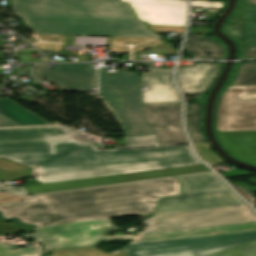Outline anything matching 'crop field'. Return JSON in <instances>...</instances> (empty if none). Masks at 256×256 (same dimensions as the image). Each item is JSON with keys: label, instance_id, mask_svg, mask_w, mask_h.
Wrapping results in <instances>:
<instances>
[{"label": "crop field", "instance_id": "crop-field-1", "mask_svg": "<svg viewBox=\"0 0 256 256\" xmlns=\"http://www.w3.org/2000/svg\"><path fill=\"white\" fill-rule=\"evenodd\" d=\"M198 164L189 145L97 151L67 127L0 130V169L35 168L41 183Z\"/></svg>", "mask_w": 256, "mask_h": 256}, {"label": "crop field", "instance_id": "crop-field-2", "mask_svg": "<svg viewBox=\"0 0 256 256\" xmlns=\"http://www.w3.org/2000/svg\"><path fill=\"white\" fill-rule=\"evenodd\" d=\"M181 195L176 178L40 195L0 207L5 220L37 228L104 218L149 214L161 197Z\"/></svg>", "mask_w": 256, "mask_h": 256}, {"label": "crop field", "instance_id": "crop-field-3", "mask_svg": "<svg viewBox=\"0 0 256 256\" xmlns=\"http://www.w3.org/2000/svg\"><path fill=\"white\" fill-rule=\"evenodd\" d=\"M34 33L162 38L118 0H12Z\"/></svg>", "mask_w": 256, "mask_h": 256}, {"label": "crop field", "instance_id": "crop-field-4", "mask_svg": "<svg viewBox=\"0 0 256 256\" xmlns=\"http://www.w3.org/2000/svg\"><path fill=\"white\" fill-rule=\"evenodd\" d=\"M256 239V231L130 244L106 253L97 248L53 251L49 256H208Z\"/></svg>", "mask_w": 256, "mask_h": 256}, {"label": "crop field", "instance_id": "crop-field-5", "mask_svg": "<svg viewBox=\"0 0 256 256\" xmlns=\"http://www.w3.org/2000/svg\"><path fill=\"white\" fill-rule=\"evenodd\" d=\"M100 93L115 114L125 136L155 134L147 125L141 97V85L135 72L106 73L99 70Z\"/></svg>", "mask_w": 256, "mask_h": 256}, {"label": "crop field", "instance_id": "crop-field-6", "mask_svg": "<svg viewBox=\"0 0 256 256\" xmlns=\"http://www.w3.org/2000/svg\"><path fill=\"white\" fill-rule=\"evenodd\" d=\"M177 179L182 196L161 198L154 213L246 204L214 172Z\"/></svg>", "mask_w": 256, "mask_h": 256}, {"label": "crop field", "instance_id": "crop-field-7", "mask_svg": "<svg viewBox=\"0 0 256 256\" xmlns=\"http://www.w3.org/2000/svg\"><path fill=\"white\" fill-rule=\"evenodd\" d=\"M117 228L110 219H104L39 228L23 236L42 243L45 247L43 254H46L52 250L92 247L106 239L108 230Z\"/></svg>", "mask_w": 256, "mask_h": 256}, {"label": "crop field", "instance_id": "crop-field-8", "mask_svg": "<svg viewBox=\"0 0 256 256\" xmlns=\"http://www.w3.org/2000/svg\"><path fill=\"white\" fill-rule=\"evenodd\" d=\"M256 220L247 205L153 214L146 231L168 230Z\"/></svg>", "mask_w": 256, "mask_h": 256}, {"label": "crop field", "instance_id": "crop-field-9", "mask_svg": "<svg viewBox=\"0 0 256 256\" xmlns=\"http://www.w3.org/2000/svg\"><path fill=\"white\" fill-rule=\"evenodd\" d=\"M256 130V85L228 86L222 94L216 131Z\"/></svg>", "mask_w": 256, "mask_h": 256}, {"label": "crop field", "instance_id": "crop-field-10", "mask_svg": "<svg viewBox=\"0 0 256 256\" xmlns=\"http://www.w3.org/2000/svg\"><path fill=\"white\" fill-rule=\"evenodd\" d=\"M206 171H211V170L205 167L204 165H198V166H188V167L169 168V169H161V170L120 174V175L84 179V180L46 183V184L27 186L25 188L28 194L31 195V194L64 191V190H71V189H78V188H86V187L135 181V180H143V179L197 173V172H206Z\"/></svg>", "mask_w": 256, "mask_h": 256}, {"label": "crop field", "instance_id": "crop-field-11", "mask_svg": "<svg viewBox=\"0 0 256 256\" xmlns=\"http://www.w3.org/2000/svg\"><path fill=\"white\" fill-rule=\"evenodd\" d=\"M34 78L41 77L58 83L64 91H84L97 87L96 70L91 64H55V69H48L47 64L33 67Z\"/></svg>", "mask_w": 256, "mask_h": 256}, {"label": "crop field", "instance_id": "crop-field-12", "mask_svg": "<svg viewBox=\"0 0 256 256\" xmlns=\"http://www.w3.org/2000/svg\"><path fill=\"white\" fill-rule=\"evenodd\" d=\"M144 108L160 145L188 143L181 128V104H144Z\"/></svg>", "mask_w": 256, "mask_h": 256}, {"label": "crop field", "instance_id": "crop-field-13", "mask_svg": "<svg viewBox=\"0 0 256 256\" xmlns=\"http://www.w3.org/2000/svg\"><path fill=\"white\" fill-rule=\"evenodd\" d=\"M129 2L142 21L149 24L185 26L187 0H121Z\"/></svg>", "mask_w": 256, "mask_h": 256}, {"label": "crop field", "instance_id": "crop-field-14", "mask_svg": "<svg viewBox=\"0 0 256 256\" xmlns=\"http://www.w3.org/2000/svg\"><path fill=\"white\" fill-rule=\"evenodd\" d=\"M249 230H256V221L239 223V224H231V225H223V226H215V227H207V228H199V229H189V230H179V231H169V232L138 233L136 239L132 243L160 241V240L241 232V231H249Z\"/></svg>", "mask_w": 256, "mask_h": 256}, {"label": "crop field", "instance_id": "crop-field-15", "mask_svg": "<svg viewBox=\"0 0 256 256\" xmlns=\"http://www.w3.org/2000/svg\"><path fill=\"white\" fill-rule=\"evenodd\" d=\"M143 86L149 91H142L143 103H182L180 94L172 86V73L144 74Z\"/></svg>", "mask_w": 256, "mask_h": 256}, {"label": "crop field", "instance_id": "crop-field-16", "mask_svg": "<svg viewBox=\"0 0 256 256\" xmlns=\"http://www.w3.org/2000/svg\"><path fill=\"white\" fill-rule=\"evenodd\" d=\"M224 32L244 47L256 48V6L242 5L238 15L227 23Z\"/></svg>", "mask_w": 256, "mask_h": 256}, {"label": "crop field", "instance_id": "crop-field-17", "mask_svg": "<svg viewBox=\"0 0 256 256\" xmlns=\"http://www.w3.org/2000/svg\"><path fill=\"white\" fill-rule=\"evenodd\" d=\"M216 135L233 157L256 164V131L216 132Z\"/></svg>", "mask_w": 256, "mask_h": 256}, {"label": "crop field", "instance_id": "crop-field-18", "mask_svg": "<svg viewBox=\"0 0 256 256\" xmlns=\"http://www.w3.org/2000/svg\"><path fill=\"white\" fill-rule=\"evenodd\" d=\"M0 113L22 126L51 125L7 97L0 99Z\"/></svg>", "mask_w": 256, "mask_h": 256}, {"label": "crop field", "instance_id": "crop-field-19", "mask_svg": "<svg viewBox=\"0 0 256 256\" xmlns=\"http://www.w3.org/2000/svg\"><path fill=\"white\" fill-rule=\"evenodd\" d=\"M185 49L194 58L220 59L224 57L225 49L210 38H188Z\"/></svg>", "mask_w": 256, "mask_h": 256}, {"label": "crop field", "instance_id": "crop-field-20", "mask_svg": "<svg viewBox=\"0 0 256 256\" xmlns=\"http://www.w3.org/2000/svg\"><path fill=\"white\" fill-rule=\"evenodd\" d=\"M202 103L187 104L186 127L194 143L205 142L201 135Z\"/></svg>", "mask_w": 256, "mask_h": 256}, {"label": "crop field", "instance_id": "crop-field-21", "mask_svg": "<svg viewBox=\"0 0 256 256\" xmlns=\"http://www.w3.org/2000/svg\"><path fill=\"white\" fill-rule=\"evenodd\" d=\"M216 78L177 77V84L184 93L205 94Z\"/></svg>", "mask_w": 256, "mask_h": 256}, {"label": "crop field", "instance_id": "crop-field-22", "mask_svg": "<svg viewBox=\"0 0 256 256\" xmlns=\"http://www.w3.org/2000/svg\"><path fill=\"white\" fill-rule=\"evenodd\" d=\"M218 63H194V67H181L177 76L217 77Z\"/></svg>", "mask_w": 256, "mask_h": 256}, {"label": "crop field", "instance_id": "crop-field-23", "mask_svg": "<svg viewBox=\"0 0 256 256\" xmlns=\"http://www.w3.org/2000/svg\"><path fill=\"white\" fill-rule=\"evenodd\" d=\"M256 84V62H248L240 65L230 85Z\"/></svg>", "mask_w": 256, "mask_h": 256}, {"label": "crop field", "instance_id": "crop-field-24", "mask_svg": "<svg viewBox=\"0 0 256 256\" xmlns=\"http://www.w3.org/2000/svg\"><path fill=\"white\" fill-rule=\"evenodd\" d=\"M211 256H256V240L230 248Z\"/></svg>", "mask_w": 256, "mask_h": 256}, {"label": "crop field", "instance_id": "crop-field-25", "mask_svg": "<svg viewBox=\"0 0 256 256\" xmlns=\"http://www.w3.org/2000/svg\"><path fill=\"white\" fill-rule=\"evenodd\" d=\"M41 250L38 243L34 247L11 250L9 245L0 242V256H40Z\"/></svg>", "mask_w": 256, "mask_h": 256}, {"label": "crop field", "instance_id": "crop-field-26", "mask_svg": "<svg viewBox=\"0 0 256 256\" xmlns=\"http://www.w3.org/2000/svg\"><path fill=\"white\" fill-rule=\"evenodd\" d=\"M125 140L127 146H120L119 149L159 145L155 135L126 137Z\"/></svg>", "mask_w": 256, "mask_h": 256}, {"label": "crop field", "instance_id": "crop-field-27", "mask_svg": "<svg viewBox=\"0 0 256 256\" xmlns=\"http://www.w3.org/2000/svg\"><path fill=\"white\" fill-rule=\"evenodd\" d=\"M198 154L208 164H222L224 163L219 159L208 147L207 144L194 145Z\"/></svg>", "mask_w": 256, "mask_h": 256}, {"label": "crop field", "instance_id": "crop-field-28", "mask_svg": "<svg viewBox=\"0 0 256 256\" xmlns=\"http://www.w3.org/2000/svg\"><path fill=\"white\" fill-rule=\"evenodd\" d=\"M33 170L34 169L9 171V172L0 171V181L23 178V177H31Z\"/></svg>", "mask_w": 256, "mask_h": 256}, {"label": "crop field", "instance_id": "crop-field-29", "mask_svg": "<svg viewBox=\"0 0 256 256\" xmlns=\"http://www.w3.org/2000/svg\"><path fill=\"white\" fill-rule=\"evenodd\" d=\"M0 192L28 196L24 187H17V186H12V185L3 184V183H0Z\"/></svg>", "mask_w": 256, "mask_h": 256}, {"label": "crop field", "instance_id": "crop-field-30", "mask_svg": "<svg viewBox=\"0 0 256 256\" xmlns=\"http://www.w3.org/2000/svg\"><path fill=\"white\" fill-rule=\"evenodd\" d=\"M149 28H151L156 32H161V33H167V32L183 33L185 27L149 25Z\"/></svg>", "mask_w": 256, "mask_h": 256}, {"label": "crop field", "instance_id": "crop-field-31", "mask_svg": "<svg viewBox=\"0 0 256 256\" xmlns=\"http://www.w3.org/2000/svg\"><path fill=\"white\" fill-rule=\"evenodd\" d=\"M29 229L31 228H28L25 230H29ZM20 231H24V230H19L13 223L5 224L0 221V236L10 234V233L20 232Z\"/></svg>", "mask_w": 256, "mask_h": 256}, {"label": "crop field", "instance_id": "crop-field-32", "mask_svg": "<svg viewBox=\"0 0 256 256\" xmlns=\"http://www.w3.org/2000/svg\"><path fill=\"white\" fill-rule=\"evenodd\" d=\"M192 7H209V8H222V2L215 1H191Z\"/></svg>", "mask_w": 256, "mask_h": 256}, {"label": "crop field", "instance_id": "crop-field-33", "mask_svg": "<svg viewBox=\"0 0 256 256\" xmlns=\"http://www.w3.org/2000/svg\"><path fill=\"white\" fill-rule=\"evenodd\" d=\"M139 64H145L149 67V72H172L173 68H154V62H139Z\"/></svg>", "mask_w": 256, "mask_h": 256}, {"label": "crop field", "instance_id": "crop-field-34", "mask_svg": "<svg viewBox=\"0 0 256 256\" xmlns=\"http://www.w3.org/2000/svg\"><path fill=\"white\" fill-rule=\"evenodd\" d=\"M23 198L25 197H19V196L0 193V204L23 199Z\"/></svg>", "mask_w": 256, "mask_h": 256}, {"label": "crop field", "instance_id": "crop-field-35", "mask_svg": "<svg viewBox=\"0 0 256 256\" xmlns=\"http://www.w3.org/2000/svg\"><path fill=\"white\" fill-rule=\"evenodd\" d=\"M11 126H20L16 124L15 122L9 120L5 116L0 114V127H11Z\"/></svg>", "mask_w": 256, "mask_h": 256}, {"label": "crop field", "instance_id": "crop-field-36", "mask_svg": "<svg viewBox=\"0 0 256 256\" xmlns=\"http://www.w3.org/2000/svg\"><path fill=\"white\" fill-rule=\"evenodd\" d=\"M241 57L243 58L256 57V49L245 48Z\"/></svg>", "mask_w": 256, "mask_h": 256}, {"label": "crop field", "instance_id": "crop-field-37", "mask_svg": "<svg viewBox=\"0 0 256 256\" xmlns=\"http://www.w3.org/2000/svg\"><path fill=\"white\" fill-rule=\"evenodd\" d=\"M136 236L133 235H120V236H111L107 237L106 240H125V239H132L134 240Z\"/></svg>", "mask_w": 256, "mask_h": 256}, {"label": "crop field", "instance_id": "crop-field-38", "mask_svg": "<svg viewBox=\"0 0 256 256\" xmlns=\"http://www.w3.org/2000/svg\"><path fill=\"white\" fill-rule=\"evenodd\" d=\"M243 4L256 5V0H241Z\"/></svg>", "mask_w": 256, "mask_h": 256}, {"label": "crop field", "instance_id": "crop-field-39", "mask_svg": "<svg viewBox=\"0 0 256 256\" xmlns=\"http://www.w3.org/2000/svg\"><path fill=\"white\" fill-rule=\"evenodd\" d=\"M1 86H2V85H0V89H1Z\"/></svg>", "mask_w": 256, "mask_h": 256}]
</instances>
